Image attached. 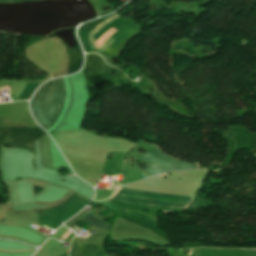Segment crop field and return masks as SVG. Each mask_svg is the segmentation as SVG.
Returning <instances> with one entry per match:
<instances>
[{"label":"crop field","mask_w":256,"mask_h":256,"mask_svg":"<svg viewBox=\"0 0 256 256\" xmlns=\"http://www.w3.org/2000/svg\"><path fill=\"white\" fill-rule=\"evenodd\" d=\"M92 214V213H91ZM89 215V216H87L84 220H82L83 222H87V223H90L91 224V226H94V227H100V228H104V229H110V223H103V221L101 220V219H99V218H97V217H95V216H93V215ZM104 220V219H103Z\"/></svg>","instance_id":"crop-field-5"},{"label":"crop field","mask_w":256,"mask_h":256,"mask_svg":"<svg viewBox=\"0 0 256 256\" xmlns=\"http://www.w3.org/2000/svg\"><path fill=\"white\" fill-rule=\"evenodd\" d=\"M71 233H72V232L69 230V231L62 237V239L65 240Z\"/></svg>","instance_id":"crop-field-6"},{"label":"crop field","mask_w":256,"mask_h":256,"mask_svg":"<svg viewBox=\"0 0 256 256\" xmlns=\"http://www.w3.org/2000/svg\"><path fill=\"white\" fill-rule=\"evenodd\" d=\"M118 18L117 14L112 16L111 18L107 19L106 21H104L103 23H101L99 26H97L95 29H93L89 35L91 43L93 48H97V46H99L104 40H106L111 34H113L116 30H118V28L113 27L110 30H108L106 33H104L97 41V46L94 42V34L100 30L101 28H103L105 25H107L109 22H111L112 20ZM115 39L109 37L102 45H100V47L96 50L99 52H103Z\"/></svg>","instance_id":"crop-field-4"},{"label":"crop field","mask_w":256,"mask_h":256,"mask_svg":"<svg viewBox=\"0 0 256 256\" xmlns=\"http://www.w3.org/2000/svg\"><path fill=\"white\" fill-rule=\"evenodd\" d=\"M120 189L111 197L119 192ZM193 198L121 189L114 200L185 209Z\"/></svg>","instance_id":"crop-field-2"},{"label":"crop field","mask_w":256,"mask_h":256,"mask_svg":"<svg viewBox=\"0 0 256 256\" xmlns=\"http://www.w3.org/2000/svg\"><path fill=\"white\" fill-rule=\"evenodd\" d=\"M166 156L155 147L151 151L143 155L140 159H142L145 163H147L152 168L163 171V172L175 171V170H187V169L197 167L194 164L168 158L169 156L168 157Z\"/></svg>","instance_id":"crop-field-3"},{"label":"crop field","mask_w":256,"mask_h":256,"mask_svg":"<svg viewBox=\"0 0 256 256\" xmlns=\"http://www.w3.org/2000/svg\"><path fill=\"white\" fill-rule=\"evenodd\" d=\"M67 97L68 85L63 77L42 85L32 99V112L47 132L53 129L60 117Z\"/></svg>","instance_id":"crop-field-1"}]
</instances>
